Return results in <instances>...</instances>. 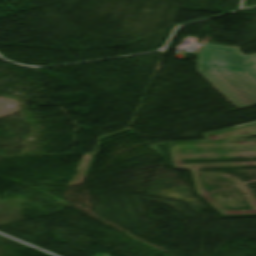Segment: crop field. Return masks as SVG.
<instances>
[{"instance_id":"1","label":"crop field","mask_w":256,"mask_h":256,"mask_svg":"<svg viewBox=\"0 0 256 256\" xmlns=\"http://www.w3.org/2000/svg\"><path fill=\"white\" fill-rule=\"evenodd\" d=\"M198 72L238 109L256 105V54L244 56L239 48L204 44Z\"/></svg>"}]
</instances>
